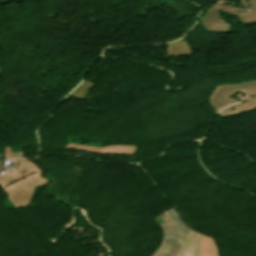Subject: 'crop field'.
I'll return each mask as SVG.
<instances>
[{
    "label": "crop field",
    "instance_id": "1",
    "mask_svg": "<svg viewBox=\"0 0 256 256\" xmlns=\"http://www.w3.org/2000/svg\"><path fill=\"white\" fill-rule=\"evenodd\" d=\"M167 213L173 220L162 224L164 228L163 242L153 256H179L191 231L174 209Z\"/></svg>",
    "mask_w": 256,
    "mask_h": 256
},
{
    "label": "crop field",
    "instance_id": "2",
    "mask_svg": "<svg viewBox=\"0 0 256 256\" xmlns=\"http://www.w3.org/2000/svg\"><path fill=\"white\" fill-rule=\"evenodd\" d=\"M199 248L201 256H218L217 249L213 240L205 236H200Z\"/></svg>",
    "mask_w": 256,
    "mask_h": 256
}]
</instances>
